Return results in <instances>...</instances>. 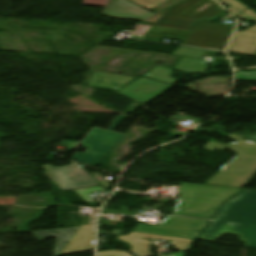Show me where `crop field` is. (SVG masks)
<instances>
[{
	"mask_svg": "<svg viewBox=\"0 0 256 256\" xmlns=\"http://www.w3.org/2000/svg\"><path fill=\"white\" fill-rule=\"evenodd\" d=\"M133 79L135 78L94 72L88 86L116 90Z\"/></svg>",
	"mask_w": 256,
	"mask_h": 256,
	"instance_id": "crop-field-12",
	"label": "crop field"
},
{
	"mask_svg": "<svg viewBox=\"0 0 256 256\" xmlns=\"http://www.w3.org/2000/svg\"><path fill=\"white\" fill-rule=\"evenodd\" d=\"M126 118L127 116L120 115L108 131L93 128L81 143L89 149L85 154L75 153L72 160L89 166L99 165L124 136L112 131Z\"/></svg>",
	"mask_w": 256,
	"mask_h": 256,
	"instance_id": "crop-field-5",
	"label": "crop field"
},
{
	"mask_svg": "<svg viewBox=\"0 0 256 256\" xmlns=\"http://www.w3.org/2000/svg\"><path fill=\"white\" fill-rule=\"evenodd\" d=\"M77 229L78 228L37 231L33 232V234L38 241H43L50 237H56L57 243L54 251V256H56L66 245V243L70 240V238L74 235ZM52 232H55V234H52ZM57 232H60V234H57Z\"/></svg>",
	"mask_w": 256,
	"mask_h": 256,
	"instance_id": "crop-field-14",
	"label": "crop field"
},
{
	"mask_svg": "<svg viewBox=\"0 0 256 256\" xmlns=\"http://www.w3.org/2000/svg\"><path fill=\"white\" fill-rule=\"evenodd\" d=\"M207 224H208V222H206V221L169 217V218L161 221L158 225L202 231Z\"/></svg>",
	"mask_w": 256,
	"mask_h": 256,
	"instance_id": "crop-field-15",
	"label": "crop field"
},
{
	"mask_svg": "<svg viewBox=\"0 0 256 256\" xmlns=\"http://www.w3.org/2000/svg\"><path fill=\"white\" fill-rule=\"evenodd\" d=\"M62 143L68 144V146L72 148H77V144H78L76 142H68V141H62Z\"/></svg>",
	"mask_w": 256,
	"mask_h": 256,
	"instance_id": "crop-field-24",
	"label": "crop field"
},
{
	"mask_svg": "<svg viewBox=\"0 0 256 256\" xmlns=\"http://www.w3.org/2000/svg\"><path fill=\"white\" fill-rule=\"evenodd\" d=\"M140 238L150 239V240L162 239V240H168V241H172L173 239L171 237L149 235V234H142V233H135V232H131L126 237L118 236L117 239L130 244L132 249L129 251H131L136 256H152L151 252L148 251L150 248V245L148 244L151 243V241L140 239Z\"/></svg>",
	"mask_w": 256,
	"mask_h": 256,
	"instance_id": "crop-field-11",
	"label": "crop field"
},
{
	"mask_svg": "<svg viewBox=\"0 0 256 256\" xmlns=\"http://www.w3.org/2000/svg\"><path fill=\"white\" fill-rule=\"evenodd\" d=\"M98 256H130L126 252H120V251H102L98 252Z\"/></svg>",
	"mask_w": 256,
	"mask_h": 256,
	"instance_id": "crop-field-20",
	"label": "crop field"
},
{
	"mask_svg": "<svg viewBox=\"0 0 256 256\" xmlns=\"http://www.w3.org/2000/svg\"><path fill=\"white\" fill-rule=\"evenodd\" d=\"M223 4L231 6L228 11L235 17H243L256 22V14L247 9L244 5L236 0H218ZM241 11L243 13L238 15ZM227 52H237L249 55L256 54V25L245 32L236 31Z\"/></svg>",
	"mask_w": 256,
	"mask_h": 256,
	"instance_id": "crop-field-7",
	"label": "crop field"
},
{
	"mask_svg": "<svg viewBox=\"0 0 256 256\" xmlns=\"http://www.w3.org/2000/svg\"><path fill=\"white\" fill-rule=\"evenodd\" d=\"M108 0H83V5L102 6L105 7Z\"/></svg>",
	"mask_w": 256,
	"mask_h": 256,
	"instance_id": "crop-field-21",
	"label": "crop field"
},
{
	"mask_svg": "<svg viewBox=\"0 0 256 256\" xmlns=\"http://www.w3.org/2000/svg\"><path fill=\"white\" fill-rule=\"evenodd\" d=\"M225 234L256 247V191L245 190L227 202L199 239L215 242Z\"/></svg>",
	"mask_w": 256,
	"mask_h": 256,
	"instance_id": "crop-field-2",
	"label": "crop field"
},
{
	"mask_svg": "<svg viewBox=\"0 0 256 256\" xmlns=\"http://www.w3.org/2000/svg\"><path fill=\"white\" fill-rule=\"evenodd\" d=\"M172 87L173 86L141 78L120 91L119 93L126 94L130 97L146 103Z\"/></svg>",
	"mask_w": 256,
	"mask_h": 256,
	"instance_id": "crop-field-8",
	"label": "crop field"
},
{
	"mask_svg": "<svg viewBox=\"0 0 256 256\" xmlns=\"http://www.w3.org/2000/svg\"><path fill=\"white\" fill-rule=\"evenodd\" d=\"M94 229L95 227L81 225L59 255L93 250Z\"/></svg>",
	"mask_w": 256,
	"mask_h": 256,
	"instance_id": "crop-field-10",
	"label": "crop field"
},
{
	"mask_svg": "<svg viewBox=\"0 0 256 256\" xmlns=\"http://www.w3.org/2000/svg\"><path fill=\"white\" fill-rule=\"evenodd\" d=\"M133 231L149 233V234L164 235V236H171V237L191 238V239H196L197 236L200 234L197 232H190V231L181 230V229L144 225V224H138Z\"/></svg>",
	"mask_w": 256,
	"mask_h": 256,
	"instance_id": "crop-field-13",
	"label": "crop field"
},
{
	"mask_svg": "<svg viewBox=\"0 0 256 256\" xmlns=\"http://www.w3.org/2000/svg\"><path fill=\"white\" fill-rule=\"evenodd\" d=\"M103 14L110 18L135 20H144L154 15L153 13L125 0H110Z\"/></svg>",
	"mask_w": 256,
	"mask_h": 256,
	"instance_id": "crop-field-9",
	"label": "crop field"
},
{
	"mask_svg": "<svg viewBox=\"0 0 256 256\" xmlns=\"http://www.w3.org/2000/svg\"><path fill=\"white\" fill-rule=\"evenodd\" d=\"M192 241L193 240L190 239L174 238L170 245H176V250H181L180 252H184L190 248Z\"/></svg>",
	"mask_w": 256,
	"mask_h": 256,
	"instance_id": "crop-field-19",
	"label": "crop field"
},
{
	"mask_svg": "<svg viewBox=\"0 0 256 256\" xmlns=\"http://www.w3.org/2000/svg\"><path fill=\"white\" fill-rule=\"evenodd\" d=\"M65 168L44 167V174L62 191L99 185L79 164L70 163Z\"/></svg>",
	"mask_w": 256,
	"mask_h": 256,
	"instance_id": "crop-field-6",
	"label": "crop field"
},
{
	"mask_svg": "<svg viewBox=\"0 0 256 256\" xmlns=\"http://www.w3.org/2000/svg\"><path fill=\"white\" fill-rule=\"evenodd\" d=\"M241 189L182 183L174 215L211 219L220 205Z\"/></svg>",
	"mask_w": 256,
	"mask_h": 256,
	"instance_id": "crop-field-4",
	"label": "crop field"
},
{
	"mask_svg": "<svg viewBox=\"0 0 256 256\" xmlns=\"http://www.w3.org/2000/svg\"><path fill=\"white\" fill-rule=\"evenodd\" d=\"M178 1H180V0H171V1H169V2H167V3H165V4L161 5V6H159V7L155 8V9H153V10H151V8L146 7V6H144V5H141V6L145 7V8L148 9V10H151V11L155 12V11H157V10L163 8V7H166V6H168V5H171V4L176 3V2H178Z\"/></svg>",
	"mask_w": 256,
	"mask_h": 256,
	"instance_id": "crop-field-23",
	"label": "crop field"
},
{
	"mask_svg": "<svg viewBox=\"0 0 256 256\" xmlns=\"http://www.w3.org/2000/svg\"><path fill=\"white\" fill-rule=\"evenodd\" d=\"M223 14L213 0H187L143 24L193 32L181 45L224 50L234 28L200 22L213 21Z\"/></svg>",
	"mask_w": 256,
	"mask_h": 256,
	"instance_id": "crop-field-1",
	"label": "crop field"
},
{
	"mask_svg": "<svg viewBox=\"0 0 256 256\" xmlns=\"http://www.w3.org/2000/svg\"><path fill=\"white\" fill-rule=\"evenodd\" d=\"M224 136L238 142L222 144L209 141L204 149L214 152L216 149H229L236 153L232 161L223 166L221 172L211 177L206 184L243 188L256 175V143L246 141L237 135Z\"/></svg>",
	"mask_w": 256,
	"mask_h": 256,
	"instance_id": "crop-field-3",
	"label": "crop field"
},
{
	"mask_svg": "<svg viewBox=\"0 0 256 256\" xmlns=\"http://www.w3.org/2000/svg\"><path fill=\"white\" fill-rule=\"evenodd\" d=\"M242 137H244V138H246V139H250V140L256 141V137H255V138H250V137H245V136H242Z\"/></svg>",
	"mask_w": 256,
	"mask_h": 256,
	"instance_id": "crop-field-26",
	"label": "crop field"
},
{
	"mask_svg": "<svg viewBox=\"0 0 256 256\" xmlns=\"http://www.w3.org/2000/svg\"><path fill=\"white\" fill-rule=\"evenodd\" d=\"M208 64L192 59L182 58L175 69L185 72L206 73Z\"/></svg>",
	"mask_w": 256,
	"mask_h": 256,
	"instance_id": "crop-field-16",
	"label": "crop field"
},
{
	"mask_svg": "<svg viewBox=\"0 0 256 256\" xmlns=\"http://www.w3.org/2000/svg\"><path fill=\"white\" fill-rule=\"evenodd\" d=\"M204 52L205 51H203V50H196V49L179 47L174 54L200 58L203 55Z\"/></svg>",
	"mask_w": 256,
	"mask_h": 256,
	"instance_id": "crop-field-18",
	"label": "crop field"
},
{
	"mask_svg": "<svg viewBox=\"0 0 256 256\" xmlns=\"http://www.w3.org/2000/svg\"><path fill=\"white\" fill-rule=\"evenodd\" d=\"M170 74H171L170 69L158 66V67L152 69L146 75V77L152 78L157 81L165 82V83H170V84L176 83L178 80L170 78Z\"/></svg>",
	"mask_w": 256,
	"mask_h": 256,
	"instance_id": "crop-field-17",
	"label": "crop field"
},
{
	"mask_svg": "<svg viewBox=\"0 0 256 256\" xmlns=\"http://www.w3.org/2000/svg\"><path fill=\"white\" fill-rule=\"evenodd\" d=\"M167 11V9L166 10H164V11H162V12H160V13H158L157 15H156V17H160L164 12H166Z\"/></svg>",
	"mask_w": 256,
	"mask_h": 256,
	"instance_id": "crop-field-25",
	"label": "crop field"
},
{
	"mask_svg": "<svg viewBox=\"0 0 256 256\" xmlns=\"http://www.w3.org/2000/svg\"><path fill=\"white\" fill-rule=\"evenodd\" d=\"M237 80H256V72L255 73H238L236 76Z\"/></svg>",
	"mask_w": 256,
	"mask_h": 256,
	"instance_id": "crop-field-22",
	"label": "crop field"
}]
</instances>
